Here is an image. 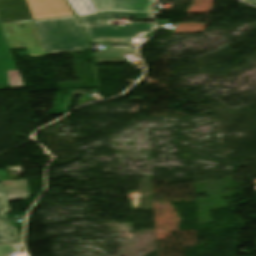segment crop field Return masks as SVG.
Wrapping results in <instances>:
<instances>
[{
  "mask_svg": "<svg viewBox=\"0 0 256 256\" xmlns=\"http://www.w3.org/2000/svg\"><path fill=\"white\" fill-rule=\"evenodd\" d=\"M34 22L47 54L88 48L75 16Z\"/></svg>",
  "mask_w": 256,
  "mask_h": 256,
  "instance_id": "8a807250",
  "label": "crop field"
},
{
  "mask_svg": "<svg viewBox=\"0 0 256 256\" xmlns=\"http://www.w3.org/2000/svg\"><path fill=\"white\" fill-rule=\"evenodd\" d=\"M14 252V246H0V256H9L8 253Z\"/></svg>",
  "mask_w": 256,
  "mask_h": 256,
  "instance_id": "cbeb9de0",
  "label": "crop field"
},
{
  "mask_svg": "<svg viewBox=\"0 0 256 256\" xmlns=\"http://www.w3.org/2000/svg\"><path fill=\"white\" fill-rule=\"evenodd\" d=\"M134 38L102 37L91 40V43H109L110 45H132Z\"/></svg>",
  "mask_w": 256,
  "mask_h": 256,
  "instance_id": "d1516ede",
  "label": "crop field"
},
{
  "mask_svg": "<svg viewBox=\"0 0 256 256\" xmlns=\"http://www.w3.org/2000/svg\"><path fill=\"white\" fill-rule=\"evenodd\" d=\"M34 20L73 15L65 0H26Z\"/></svg>",
  "mask_w": 256,
  "mask_h": 256,
  "instance_id": "412701ff",
  "label": "crop field"
},
{
  "mask_svg": "<svg viewBox=\"0 0 256 256\" xmlns=\"http://www.w3.org/2000/svg\"><path fill=\"white\" fill-rule=\"evenodd\" d=\"M10 70L17 69L0 26V85H10Z\"/></svg>",
  "mask_w": 256,
  "mask_h": 256,
  "instance_id": "d8731c3e",
  "label": "crop field"
},
{
  "mask_svg": "<svg viewBox=\"0 0 256 256\" xmlns=\"http://www.w3.org/2000/svg\"><path fill=\"white\" fill-rule=\"evenodd\" d=\"M77 17L96 14L97 11L90 0H69Z\"/></svg>",
  "mask_w": 256,
  "mask_h": 256,
  "instance_id": "28ad6ade",
  "label": "crop field"
},
{
  "mask_svg": "<svg viewBox=\"0 0 256 256\" xmlns=\"http://www.w3.org/2000/svg\"><path fill=\"white\" fill-rule=\"evenodd\" d=\"M98 13L106 11L150 13L153 0H91Z\"/></svg>",
  "mask_w": 256,
  "mask_h": 256,
  "instance_id": "f4fd0767",
  "label": "crop field"
},
{
  "mask_svg": "<svg viewBox=\"0 0 256 256\" xmlns=\"http://www.w3.org/2000/svg\"><path fill=\"white\" fill-rule=\"evenodd\" d=\"M9 206L0 185V244H21L17 228H13L5 212Z\"/></svg>",
  "mask_w": 256,
  "mask_h": 256,
  "instance_id": "e52e79f7",
  "label": "crop field"
},
{
  "mask_svg": "<svg viewBox=\"0 0 256 256\" xmlns=\"http://www.w3.org/2000/svg\"><path fill=\"white\" fill-rule=\"evenodd\" d=\"M25 28L20 29L18 25ZM11 49L26 48L30 57L46 55L33 21L1 24Z\"/></svg>",
  "mask_w": 256,
  "mask_h": 256,
  "instance_id": "34b2d1b8",
  "label": "crop field"
},
{
  "mask_svg": "<svg viewBox=\"0 0 256 256\" xmlns=\"http://www.w3.org/2000/svg\"><path fill=\"white\" fill-rule=\"evenodd\" d=\"M114 17L152 18L150 14L106 12L80 17L79 20L90 39L102 36L145 37L155 30L154 23L130 22L129 26H110L101 22L103 20H114Z\"/></svg>",
  "mask_w": 256,
  "mask_h": 256,
  "instance_id": "ac0d7876",
  "label": "crop field"
},
{
  "mask_svg": "<svg viewBox=\"0 0 256 256\" xmlns=\"http://www.w3.org/2000/svg\"><path fill=\"white\" fill-rule=\"evenodd\" d=\"M137 56L136 49L131 47L108 46L105 51L95 53V57H128Z\"/></svg>",
  "mask_w": 256,
  "mask_h": 256,
  "instance_id": "3316defc",
  "label": "crop field"
},
{
  "mask_svg": "<svg viewBox=\"0 0 256 256\" xmlns=\"http://www.w3.org/2000/svg\"><path fill=\"white\" fill-rule=\"evenodd\" d=\"M8 201L30 198L27 179L1 181Z\"/></svg>",
  "mask_w": 256,
  "mask_h": 256,
  "instance_id": "5a996713",
  "label": "crop field"
},
{
  "mask_svg": "<svg viewBox=\"0 0 256 256\" xmlns=\"http://www.w3.org/2000/svg\"><path fill=\"white\" fill-rule=\"evenodd\" d=\"M33 19L25 0H0V21Z\"/></svg>",
  "mask_w": 256,
  "mask_h": 256,
  "instance_id": "dd49c442",
  "label": "crop field"
},
{
  "mask_svg": "<svg viewBox=\"0 0 256 256\" xmlns=\"http://www.w3.org/2000/svg\"><path fill=\"white\" fill-rule=\"evenodd\" d=\"M10 78L11 85H22L17 71H11Z\"/></svg>",
  "mask_w": 256,
  "mask_h": 256,
  "instance_id": "22f410ed",
  "label": "crop field"
}]
</instances>
